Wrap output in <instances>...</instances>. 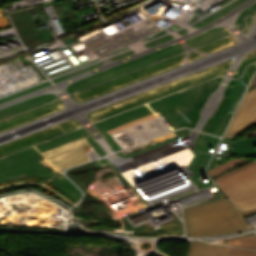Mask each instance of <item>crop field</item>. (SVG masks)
<instances>
[{
  "label": "crop field",
  "mask_w": 256,
  "mask_h": 256,
  "mask_svg": "<svg viewBox=\"0 0 256 256\" xmlns=\"http://www.w3.org/2000/svg\"><path fill=\"white\" fill-rule=\"evenodd\" d=\"M255 213H256V208L255 209L246 210L244 212H241L243 217L249 216V215H252V214H255Z\"/></svg>",
  "instance_id": "crop-field-13"
},
{
  "label": "crop field",
  "mask_w": 256,
  "mask_h": 256,
  "mask_svg": "<svg viewBox=\"0 0 256 256\" xmlns=\"http://www.w3.org/2000/svg\"><path fill=\"white\" fill-rule=\"evenodd\" d=\"M255 163H256V160L247 164V165H245V166H243V167H241V168H239V169H236V170H234V171H232V172H230V173H228V174H226V175H224L220 178L214 179V182L216 183L218 181H221V180H223V179H225V178H227V177H229V176H231V175H233V174H235V173H237V172H239V171H241V170H243V169H245V168H247V167H249V166H251Z\"/></svg>",
  "instance_id": "crop-field-12"
},
{
  "label": "crop field",
  "mask_w": 256,
  "mask_h": 256,
  "mask_svg": "<svg viewBox=\"0 0 256 256\" xmlns=\"http://www.w3.org/2000/svg\"><path fill=\"white\" fill-rule=\"evenodd\" d=\"M227 247V246H226ZM229 256H256V251L227 247Z\"/></svg>",
  "instance_id": "crop-field-10"
},
{
  "label": "crop field",
  "mask_w": 256,
  "mask_h": 256,
  "mask_svg": "<svg viewBox=\"0 0 256 256\" xmlns=\"http://www.w3.org/2000/svg\"><path fill=\"white\" fill-rule=\"evenodd\" d=\"M254 124H256V88L247 92L224 137H233Z\"/></svg>",
  "instance_id": "crop-field-2"
},
{
  "label": "crop field",
  "mask_w": 256,
  "mask_h": 256,
  "mask_svg": "<svg viewBox=\"0 0 256 256\" xmlns=\"http://www.w3.org/2000/svg\"><path fill=\"white\" fill-rule=\"evenodd\" d=\"M246 160H248V159L235 158V159H233V160H231V161H229L227 163H224L222 165H219V166H217V167H215V168H213V169H211V170H209L207 172L209 173L210 176H212L214 174L222 172V171H224V170H226V169H228V168H230V167H232L234 165H237V164H239V163H241L243 161H246Z\"/></svg>",
  "instance_id": "crop-field-8"
},
{
  "label": "crop field",
  "mask_w": 256,
  "mask_h": 256,
  "mask_svg": "<svg viewBox=\"0 0 256 256\" xmlns=\"http://www.w3.org/2000/svg\"><path fill=\"white\" fill-rule=\"evenodd\" d=\"M254 85H256V80H255V82L252 84V86H254ZM252 86H251V87H252Z\"/></svg>",
  "instance_id": "crop-field-15"
},
{
  "label": "crop field",
  "mask_w": 256,
  "mask_h": 256,
  "mask_svg": "<svg viewBox=\"0 0 256 256\" xmlns=\"http://www.w3.org/2000/svg\"><path fill=\"white\" fill-rule=\"evenodd\" d=\"M190 236L221 235L248 228L227 199L185 209Z\"/></svg>",
  "instance_id": "crop-field-1"
},
{
  "label": "crop field",
  "mask_w": 256,
  "mask_h": 256,
  "mask_svg": "<svg viewBox=\"0 0 256 256\" xmlns=\"http://www.w3.org/2000/svg\"><path fill=\"white\" fill-rule=\"evenodd\" d=\"M254 178H256V165H253L217 184L221 188V190L225 192Z\"/></svg>",
  "instance_id": "crop-field-4"
},
{
  "label": "crop field",
  "mask_w": 256,
  "mask_h": 256,
  "mask_svg": "<svg viewBox=\"0 0 256 256\" xmlns=\"http://www.w3.org/2000/svg\"><path fill=\"white\" fill-rule=\"evenodd\" d=\"M212 256H228L225 246L205 243Z\"/></svg>",
  "instance_id": "crop-field-9"
},
{
  "label": "crop field",
  "mask_w": 256,
  "mask_h": 256,
  "mask_svg": "<svg viewBox=\"0 0 256 256\" xmlns=\"http://www.w3.org/2000/svg\"><path fill=\"white\" fill-rule=\"evenodd\" d=\"M188 256H211L204 242L192 241Z\"/></svg>",
  "instance_id": "crop-field-7"
},
{
  "label": "crop field",
  "mask_w": 256,
  "mask_h": 256,
  "mask_svg": "<svg viewBox=\"0 0 256 256\" xmlns=\"http://www.w3.org/2000/svg\"><path fill=\"white\" fill-rule=\"evenodd\" d=\"M60 7L63 10V13L65 14L77 11L76 6L73 5L72 0H70V2H67V3H61Z\"/></svg>",
  "instance_id": "crop-field-11"
},
{
  "label": "crop field",
  "mask_w": 256,
  "mask_h": 256,
  "mask_svg": "<svg viewBox=\"0 0 256 256\" xmlns=\"http://www.w3.org/2000/svg\"><path fill=\"white\" fill-rule=\"evenodd\" d=\"M229 242L233 246L256 250V236L254 235L230 239Z\"/></svg>",
  "instance_id": "crop-field-6"
},
{
  "label": "crop field",
  "mask_w": 256,
  "mask_h": 256,
  "mask_svg": "<svg viewBox=\"0 0 256 256\" xmlns=\"http://www.w3.org/2000/svg\"><path fill=\"white\" fill-rule=\"evenodd\" d=\"M251 135H256V131L246 134V137L251 136Z\"/></svg>",
  "instance_id": "crop-field-14"
},
{
  "label": "crop field",
  "mask_w": 256,
  "mask_h": 256,
  "mask_svg": "<svg viewBox=\"0 0 256 256\" xmlns=\"http://www.w3.org/2000/svg\"><path fill=\"white\" fill-rule=\"evenodd\" d=\"M225 195L239 212L256 207V179L235 187L227 192Z\"/></svg>",
  "instance_id": "crop-field-3"
},
{
  "label": "crop field",
  "mask_w": 256,
  "mask_h": 256,
  "mask_svg": "<svg viewBox=\"0 0 256 256\" xmlns=\"http://www.w3.org/2000/svg\"><path fill=\"white\" fill-rule=\"evenodd\" d=\"M231 154L256 158V137L246 140H235Z\"/></svg>",
  "instance_id": "crop-field-5"
}]
</instances>
